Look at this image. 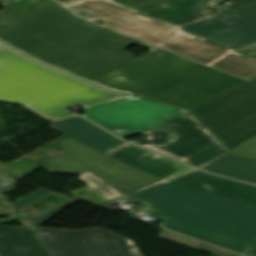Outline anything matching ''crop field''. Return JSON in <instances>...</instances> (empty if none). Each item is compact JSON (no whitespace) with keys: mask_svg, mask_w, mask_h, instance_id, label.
Instances as JSON below:
<instances>
[{"mask_svg":"<svg viewBox=\"0 0 256 256\" xmlns=\"http://www.w3.org/2000/svg\"><path fill=\"white\" fill-rule=\"evenodd\" d=\"M245 18L256 24V3L235 9Z\"/></svg>","mask_w":256,"mask_h":256,"instance_id":"obj_21","label":"crop field"},{"mask_svg":"<svg viewBox=\"0 0 256 256\" xmlns=\"http://www.w3.org/2000/svg\"><path fill=\"white\" fill-rule=\"evenodd\" d=\"M198 168L210 173L256 184V162L239 158L229 151Z\"/></svg>","mask_w":256,"mask_h":256,"instance_id":"obj_14","label":"crop field"},{"mask_svg":"<svg viewBox=\"0 0 256 256\" xmlns=\"http://www.w3.org/2000/svg\"><path fill=\"white\" fill-rule=\"evenodd\" d=\"M77 179L88 186L72 190V193L74 197L86 202L98 205L116 196L122 195L119 191L91 171L81 173L80 177Z\"/></svg>","mask_w":256,"mask_h":256,"instance_id":"obj_15","label":"crop field"},{"mask_svg":"<svg viewBox=\"0 0 256 256\" xmlns=\"http://www.w3.org/2000/svg\"><path fill=\"white\" fill-rule=\"evenodd\" d=\"M58 1L85 18H99L106 26L200 62L244 78L256 74V60L252 58L214 46L101 0Z\"/></svg>","mask_w":256,"mask_h":256,"instance_id":"obj_4","label":"crop field"},{"mask_svg":"<svg viewBox=\"0 0 256 256\" xmlns=\"http://www.w3.org/2000/svg\"><path fill=\"white\" fill-rule=\"evenodd\" d=\"M53 256H142L130 239L103 228L78 231L39 228Z\"/></svg>","mask_w":256,"mask_h":256,"instance_id":"obj_9","label":"crop field"},{"mask_svg":"<svg viewBox=\"0 0 256 256\" xmlns=\"http://www.w3.org/2000/svg\"><path fill=\"white\" fill-rule=\"evenodd\" d=\"M131 142L195 167L228 150L188 111Z\"/></svg>","mask_w":256,"mask_h":256,"instance_id":"obj_7","label":"crop field"},{"mask_svg":"<svg viewBox=\"0 0 256 256\" xmlns=\"http://www.w3.org/2000/svg\"><path fill=\"white\" fill-rule=\"evenodd\" d=\"M128 95L108 91L40 64L0 42V100L25 104L58 119L74 113L65 108Z\"/></svg>","mask_w":256,"mask_h":256,"instance_id":"obj_3","label":"crop field"},{"mask_svg":"<svg viewBox=\"0 0 256 256\" xmlns=\"http://www.w3.org/2000/svg\"><path fill=\"white\" fill-rule=\"evenodd\" d=\"M84 109L83 117L121 138L144 132L185 111L134 97Z\"/></svg>","mask_w":256,"mask_h":256,"instance_id":"obj_8","label":"crop field"},{"mask_svg":"<svg viewBox=\"0 0 256 256\" xmlns=\"http://www.w3.org/2000/svg\"><path fill=\"white\" fill-rule=\"evenodd\" d=\"M236 155L256 160V136L231 149Z\"/></svg>","mask_w":256,"mask_h":256,"instance_id":"obj_20","label":"crop field"},{"mask_svg":"<svg viewBox=\"0 0 256 256\" xmlns=\"http://www.w3.org/2000/svg\"><path fill=\"white\" fill-rule=\"evenodd\" d=\"M106 154L161 181L256 206V186L208 174L127 142Z\"/></svg>","mask_w":256,"mask_h":256,"instance_id":"obj_5","label":"crop field"},{"mask_svg":"<svg viewBox=\"0 0 256 256\" xmlns=\"http://www.w3.org/2000/svg\"><path fill=\"white\" fill-rule=\"evenodd\" d=\"M160 237L172 240L174 242L198 249L200 251H203V252L215 255V256H239V255H236V254L224 251L222 249H219V248H216V247L183 237L181 235H178V234H175V233L163 230V229H161Z\"/></svg>","mask_w":256,"mask_h":256,"instance_id":"obj_19","label":"crop field"},{"mask_svg":"<svg viewBox=\"0 0 256 256\" xmlns=\"http://www.w3.org/2000/svg\"><path fill=\"white\" fill-rule=\"evenodd\" d=\"M58 144L66 153L38 160L50 173L92 170L168 230L242 255L256 244V207L161 182L66 136Z\"/></svg>","mask_w":256,"mask_h":256,"instance_id":"obj_2","label":"crop field"},{"mask_svg":"<svg viewBox=\"0 0 256 256\" xmlns=\"http://www.w3.org/2000/svg\"><path fill=\"white\" fill-rule=\"evenodd\" d=\"M138 14L182 0H104Z\"/></svg>","mask_w":256,"mask_h":256,"instance_id":"obj_18","label":"crop field"},{"mask_svg":"<svg viewBox=\"0 0 256 256\" xmlns=\"http://www.w3.org/2000/svg\"><path fill=\"white\" fill-rule=\"evenodd\" d=\"M212 1L185 0L141 15L177 28L234 9L223 11Z\"/></svg>","mask_w":256,"mask_h":256,"instance_id":"obj_11","label":"crop field"},{"mask_svg":"<svg viewBox=\"0 0 256 256\" xmlns=\"http://www.w3.org/2000/svg\"><path fill=\"white\" fill-rule=\"evenodd\" d=\"M247 256H256V246L247 254Z\"/></svg>","mask_w":256,"mask_h":256,"instance_id":"obj_24","label":"crop field"},{"mask_svg":"<svg viewBox=\"0 0 256 256\" xmlns=\"http://www.w3.org/2000/svg\"><path fill=\"white\" fill-rule=\"evenodd\" d=\"M16 185L14 178L6 176L4 174L0 173V203H5L6 205L10 203L8 200H6L3 196V193L14 190V186ZM51 191L46 190L42 188L41 190L15 202L10 205L9 207L13 209H18L22 207H26L33 202L39 200L40 198L48 195Z\"/></svg>","mask_w":256,"mask_h":256,"instance_id":"obj_16","label":"crop field"},{"mask_svg":"<svg viewBox=\"0 0 256 256\" xmlns=\"http://www.w3.org/2000/svg\"><path fill=\"white\" fill-rule=\"evenodd\" d=\"M189 111L229 148L240 144L256 135V77Z\"/></svg>","mask_w":256,"mask_h":256,"instance_id":"obj_6","label":"crop field"},{"mask_svg":"<svg viewBox=\"0 0 256 256\" xmlns=\"http://www.w3.org/2000/svg\"><path fill=\"white\" fill-rule=\"evenodd\" d=\"M177 29L229 49L256 42V25L234 10Z\"/></svg>","mask_w":256,"mask_h":256,"instance_id":"obj_10","label":"crop field"},{"mask_svg":"<svg viewBox=\"0 0 256 256\" xmlns=\"http://www.w3.org/2000/svg\"><path fill=\"white\" fill-rule=\"evenodd\" d=\"M51 124L53 130L78 140L102 153L123 143L122 140L78 116L51 122Z\"/></svg>","mask_w":256,"mask_h":256,"instance_id":"obj_12","label":"crop field"},{"mask_svg":"<svg viewBox=\"0 0 256 256\" xmlns=\"http://www.w3.org/2000/svg\"><path fill=\"white\" fill-rule=\"evenodd\" d=\"M78 200L73 198L69 199L65 203L60 206H55L53 208H48L38 215L33 214L25 219H23L19 214L14 213L15 210L12 211V215L15 219H17L24 227H34L39 228L41 225L76 203Z\"/></svg>","mask_w":256,"mask_h":256,"instance_id":"obj_17","label":"crop field"},{"mask_svg":"<svg viewBox=\"0 0 256 256\" xmlns=\"http://www.w3.org/2000/svg\"><path fill=\"white\" fill-rule=\"evenodd\" d=\"M234 51L256 59V43Z\"/></svg>","mask_w":256,"mask_h":256,"instance_id":"obj_22","label":"crop field"},{"mask_svg":"<svg viewBox=\"0 0 256 256\" xmlns=\"http://www.w3.org/2000/svg\"><path fill=\"white\" fill-rule=\"evenodd\" d=\"M1 256H51L33 230L0 226Z\"/></svg>","mask_w":256,"mask_h":256,"instance_id":"obj_13","label":"crop field"},{"mask_svg":"<svg viewBox=\"0 0 256 256\" xmlns=\"http://www.w3.org/2000/svg\"><path fill=\"white\" fill-rule=\"evenodd\" d=\"M0 39L60 69L134 96L189 109L242 82L86 21L54 0H0ZM150 52L136 58L124 49Z\"/></svg>","mask_w":256,"mask_h":256,"instance_id":"obj_1","label":"crop field"},{"mask_svg":"<svg viewBox=\"0 0 256 256\" xmlns=\"http://www.w3.org/2000/svg\"><path fill=\"white\" fill-rule=\"evenodd\" d=\"M228 1L232 2V7H235V8L256 2V0H228Z\"/></svg>","mask_w":256,"mask_h":256,"instance_id":"obj_23","label":"crop field"}]
</instances>
